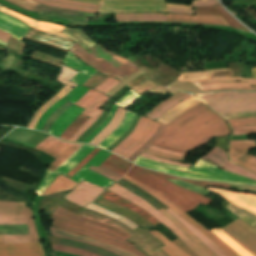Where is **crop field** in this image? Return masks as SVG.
<instances>
[{
	"mask_svg": "<svg viewBox=\"0 0 256 256\" xmlns=\"http://www.w3.org/2000/svg\"><path fill=\"white\" fill-rule=\"evenodd\" d=\"M226 134H229L226 122L201 103L165 126L153 145L186 153L206 143L212 136Z\"/></svg>",
	"mask_w": 256,
	"mask_h": 256,
	"instance_id": "8a807250",
	"label": "crop field"
},
{
	"mask_svg": "<svg viewBox=\"0 0 256 256\" xmlns=\"http://www.w3.org/2000/svg\"><path fill=\"white\" fill-rule=\"evenodd\" d=\"M126 176L152 188L157 193H159L160 195H162L163 197L171 201L173 204L178 206L183 211L192 210L199 203L208 205L211 200V199L208 200L197 193H194L184 188H181L179 186H176L166 180V178H174V179H181V178H175L168 175L152 172L136 166H133L129 170ZM189 182L197 184L202 187L204 186L222 187V188L229 187V185H225V184L204 183V182H194V181H189Z\"/></svg>",
	"mask_w": 256,
	"mask_h": 256,
	"instance_id": "ac0d7876",
	"label": "crop field"
},
{
	"mask_svg": "<svg viewBox=\"0 0 256 256\" xmlns=\"http://www.w3.org/2000/svg\"><path fill=\"white\" fill-rule=\"evenodd\" d=\"M76 44L70 51L103 74L113 76L122 81L124 78L139 70L129 61L108 52L97 44L88 52Z\"/></svg>",
	"mask_w": 256,
	"mask_h": 256,
	"instance_id": "34b2d1b8",
	"label": "crop field"
},
{
	"mask_svg": "<svg viewBox=\"0 0 256 256\" xmlns=\"http://www.w3.org/2000/svg\"><path fill=\"white\" fill-rule=\"evenodd\" d=\"M27 223L28 235H4L3 243L40 242L32 218L31 208H24V203L0 201V224Z\"/></svg>",
	"mask_w": 256,
	"mask_h": 256,
	"instance_id": "412701ff",
	"label": "crop field"
},
{
	"mask_svg": "<svg viewBox=\"0 0 256 256\" xmlns=\"http://www.w3.org/2000/svg\"><path fill=\"white\" fill-rule=\"evenodd\" d=\"M208 106L223 115L236 112L256 111V92H223L203 97Z\"/></svg>",
	"mask_w": 256,
	"mask_h": 256,
	"instance_id": "f4fd0767",
	"label": "crop field"
},
{
	"mask_svg": "<svg viewBox=\"0 0 256 256\" xmlns=\"http://www.w3.org/2000/svg\"><path fill=\"white\" fill-rule=\"evenodd\" d=\"M65 65L74 68L80 73L75 76L71 81L77 83L78 85L67 95H65L62 99L57 101L54 105H52L39 119L35 129L41 130L43 127L46 119L61 105L66 103L67 101L74 104L77 100H79L89 89L84 88L80 86L82 83H84L88 78H90L95 71L90 66L82 62L80 59L75 57L70 51L67 53V55L64 57L62 61Z\"/></svg>",
	"mask_w": 256,
	"mask_h": 256,
	"instance_id": "dd49c442",
	"label": "crop field"
},
{
	"mask_svg": "<svg viewBox=\"0 0 256 256\" xmlns=\"http://www.w3.org/2000/svg\"><path fill=\"white\" fill-rule=\"evenodd\" d=\"M118 83L119 81L108 78L93 90H90L89 92L87 91L88 93L86 92L87 94L75 103V105L86 109L82 114L91 118L80 127L70 140L75 141L102 114V111L97 108L104 104L108 97L96 92L95 90L106 94Z\"/></svg>",
	"mask_w": 256,
	"mask_h": 256,
	"instance_id": "e52e79f7",
	"label": "crop field"
},
{
	"mask_svg": "<svg viewBox=\"0 0 256 256\" xmlns=\"http://www.w3.org/2000/svg\"><path fill=\"white\" fill-rule=\"evenodd\" d=\"M51 220H54L56 222H60V223H63V224L71 225V226H74V227H78V228L88 230V231H91V232H94V233H98V234H101V235H104V236H108V237H111V238H115V239H118V240H120V241H122L126 244H129L125 240H123L121 237H119L115 234H112V233H110L106 230L96 228V227H93V226H90V225H87V224H84V223H81V222H78V221H75V220H71V219L62 217L60 215L54 214V213L51 217ZM54 221L52 222V225H54V226L61 227V228H64V229H67V230H70V231H73V232H76V233H79V234H82V235L93 237V238L98 239L102 242L127 249V250H129V251H131V252H133V253H135L139 256H146V255L140 253L137 249H135L133 247H130L128 245H125L123 243H120L118 241H115L111 238L100 236V235L93 234V233H89V232H86V231L78 229V228H74V227H71V226L56 223ZM129 245H131V244H129ZM131 246H133V245H131Z\"/></svg>",
	"mask_w": 256,
	"mask_h": 256,
	"instance_id": "d8731c3e",
	"label": "crop field"
},
{
	"mask_svg": "<svg viewBox=\"0 0 256 256\" xmlns=\"http://www.w3.org/2000/svg\"><path fill=\"white\" fill-rule=\"evenodd\" d=\"M108 190L118 194L119 196L131 201L132 203L142 207L159 221H161L166 227H168L174 234H176L180 239H182L192 250H194L200 256H209L205 253L200 247H198L180 228L166 219L163 215H161L155 208H153L150 204H148L143 199L135 196L131 192H129L124 187L114 184Z\"/></svg>",
	"mask_w": 256,
	"mask_h": 256,
	"instance_id": "5a996713",
	"label": "crop field"
},
{
	"mask_svg": "<svg viewBox=\"0 0 256 256\" xmlns=\"http://www.w3.org/2000/svg\"><path fill=\"white\" fill-rule=\"evenodd\" d=\"M82 145L60 141L49 136L35 148L44 151L56 160L51 163L48 169L54 171L63 161H65L76 149Z\"/></svg>",
	"mask_w": 256,
	"mask_h": 256,
	"instance_id": "3316defc",
	"label": "crop field"
},
{
	"mask_svg": "<svg viewBox=\"0 0 256 256\" xmlns=\"http://www.w3.org/2000/svg\"><path fill=\"white\" fill-rule=\"evenodd\" d=\"M221 229L256 256V227L253 228L238 219Z\"/></svg>",
	"mask_w": 256,
	"mask_h": 256,
	"instance_id": "28ad6ade",
	"label": "crop field"
},
{
	"mask_svg": "<svg viewBox=\"0 0 256 256\" xmlns=\"http://www.w3.org/2000/svg\"><path fill=\"white\" fill-rule=\"evenodd\" d=\"M94 147L83 145L73 155H71L64 163H62L54 172L47 169L46 175L36 190L39 196L48 188L56 176L60 173L66 174L73 167H75Z\"/></svg>",
	"mask_w": 256,
	"mask_h": 256,
	"instance_id": "d1516ede",
	"label": "crop field"
},
{
	"mask_svg": "<svg viewBox=\"0 0 256 256\" xmlns=\"http://www.w3.org/2000/svg\"><path fill=\"white\" fill-rule=\"evenodd\" d=\"M127 180H129L131 183L136 185L137 187L141 188L142 190L146 191L147 193L154 196L156 199H158L160 202L168 206L173 211L177 212L180 216H182L186 221L191 223L193 226H195L198 230H200L203 234H205L209 239H211L216 245H218L222 250H224L226 253H228L230 256H239L236 254L233 250H231L227 245H225L222 241H220L217 237H215L213 234H211L208 230H206L204 227H202L200 224H198L195 220H193L191 217H189L187 214H185L182 210H180L178 207L173 205L171 202L157 194L155 191L143 186L142 184L128 178L124 177Z\"/></svg>",
	"mask_w": 256,
	"mask_h": 256,
	"instance_id": "22f410ed",
	"label": "crop field"
},
{
	"mask_svg": "<svg viewBox=\"0 0 256 256\" xmlns=\"http://www.w3.org/2000/svg\"><path fill=\"white\" fill-rule=\"evenodd\" d=\"M256 148L254 140L230 141L229 159L256 173V157L246 153L248 149Z\"/></svg>",
	"mask_w": 256,
	"mask_h": 256,
	"instance_id": "cbeb9de0",
	"label": "crop field"
},
{
	"mask_svg": "<svg viewBox=\"0 0 256 256\" xmlns=\"http://www.w3.org/2000/svg\"><path fill=\"white\" fill-rule=\"evenodd\" d=\"M110 153L101 150L88 164H86L81 170H79L76 174H74L70 179L80 182L82 179L89 181L91 183L97 184L104 188H107L113 182L91 172L88 168L93 165L97 167L100 163L104 162Z\"/></svg>",
	"mask_w": 256,
	"mask_h": 256,
	"instance_id": "5142ce71",
	"label": "crop field"
},
{
	"mask_svg": "<svg viewBox=\"0 0 256 256\" xmlns=\"http://www.w3.org/2000/svg\"><path fill=\"white\" fill-rule=\"evenodd\" d=\"M186 172H190L198 175L222 178V179H227V180L236 181V182L256 184V181H253L251 179H248L239 175L225 172L219 169L218 167L210 163H207L201 159L198 160L195 166L186 170Z\"/></svg>",
	"mask_w": 256,
	"mask_h": 256,
	"instance_id": "d9b57169",
	"label": "crop field"
},
{
	"mask_svg": "<svg viewBox=\"0 0 256 256\" xmlns=\"http://www.w3.org/2000/svg\"><path fill=\"white\" fill-rule=\"evenodd\" d=\"M103 188L83 181L71 193L63 198L83 207L92 202Z\"/></svg>",
	"mask_w": 256,
	"mask_h": 256,
	"instance_id": "733c2abd",
	"label": "crop field"
},
{
	"mask_svg": "<svg viewBox=\"0 0 256 256\" xmlns=\"http://www.w3.org/2000/svg\"><path fill=\"white\" fill-rule=\"evenodd\" d=\"M202 159L222 168L225 171L233 172V173L251 178L253 180H256L255 174L231 164L226 157V152L216 147L213 148L209 154L203 156Z\"/></svg>",
	"mask_w": 256,
	"mask_h": 256,
	"instance_id": "4a817a6b",
	"label": "crop field"
},
{
	"mask_svg": "<svg viewBox=\"0 0 256 256\" xmlns=\"http://www.w3.org/2000/svg\"><path fill=\"white\" fill-rule=\"evenodd\" d=\"M134 163H136L140 166L146 167V168L153 169V170H157V171H161V172H165V173H169V174H173V175H178V176L189 177V178H193V179L217 180V181H224V182L235 183V184H242V183H236V182L226 181V180H222V179L203 177V176L186 174V173H181V172L169 170V169H166V167L181 170V171L186 170V168H182V167H179V166L168 165V164H165V163H162V162L145 159V158H142L140 156H138V158L134 161Z\"/></svg>",
	"mask_w": 256,
	"mask_h": 256,
	"instance_id": "bc2a9ffb",
	"label": "crop field"
},
{
	"mask_svg": "<svg viewBox=\"0 0 256 256\" xmlns=\"http://www.w3.org/2000/svg\"><path fill=\"white\" fill-rule=\"evenodd\" d=\"M0 256H45L41 243L0 244Z\"/></svg>",
	"mask_w": 256,
	"mask_h": 256,
	"instance_id": "214f88e0",
	"label": "crop field"
},
{
	"mask_svg": "<svg viewBox=\"0 0 256 256\" xmlns=\"http://www.w3.org/2000/svg\"><path fill=\"white\" fill-rule=\"evenodd\" d=\"M50 230L52 232L53 235L64 238V239H68V240H74V241H80V242H85V243H89L92 245H95L97 247L103 248L105 250H108L110 252H113L115 254H118L120 256H136L126 250L120 249V248H116L113 246H110L108 244L87 238V237H83L77 234H74L72 232L66 231V230H62V229H58V228H54V227H50Z\"/></svg>",
	"mask_w": 256,
	"mask_h": 256,
	"instance_id": "92a150f3",
	"label": "crop field"
},
{
	"mask_svg": "<svg viewBox=\"0 0 256 256\" xmlns=\"http://www.w3.org/2000/svg\"><path fill=\"white\" fill-rule=\"evenodd\" d=\"M166 22L172 23H196L205 25H230L221 16H191V15H178L167 14Z\"/></svg>",
	"mask_w": 256,
	"mask_h": 256,
	"instance_id": "dafd665d",
	"label": "crop field"
},
{
	"mask_svg": "<svg viewBox=\"0 0 256 256\" xmlns=\"http://www.w3.org/2000/svg\"><path fill=\"white\" fill-rule=\"evenodd\" d=\"M222 197L226 198L232 204L239 206L253 214L256 215V196L253 194H245V193H231L227 191H222L218 189H209Z\"/></svg>",
	"mask_w": 256,
	"mask_h": 256,
	"instance_id": "00972430",
	"label": "crop field"
},
{
	"mask_svg": "<svg viewBox=\"0 0 256 256\" xmlns=\"http://www.w3.org/2000/svg\"><path fill=\"white\" fill-rule=\"evenodd\" d=\"M0 11H3L9 15H12V16L24 21L25 23H27L29 26H31L33 28H36V29H39L42 31H46V32H49V33H52V34H55V35H58V36L68 39L67 37H65L64 35L59 33L62 29L65 28L64 26H59V25H55V24H51V23H47V22L30 19L28 17L17 14L1 5H0Z\"/></svg>",
	"mask_w": 256,
	"mask_h": 256,
	"instance_id": "a9b5d70f",
	"label": "crop field"
},
{
	"mask_svg": "<svg viewBox=\"0 0 256 256\" xmlns=\"http://www.w3.org/2000/svg\"><path fill=\"white\" fill-rule=\"evenodd\" d=\"M82 111H84V109L72 105L69 109H67L63 114L58 117L57 121L49 129L48 133L59 137L68 127V125L73 122Z\"/></svg>",
	"mask_w": 256,
	"mask_h": 256,
	"instance_id": "4177f3b9",
	"label": "crop field"
},
{
	"mask_svg": "<svg viewBox=\"0 0 256 256\" xmlns=\"http://www.w3.org/2000/svg\"><path fill=\"white\" fill-rule=\"evenodd\" d=\"M100 198L137 212L139 215H141L144 219H146L148 222H150L154 226L161 223L158 220H156L154 217H152L150 214H148L146 211H144L142 208L126 201L125 199L107 190L100 196Z\"/></svg>",
	"mask_w": 256,
	"mask_h": 256,
	"instance_id": "730fd06b",
	"label": "crop field"
},
{
	"mask_svg": "<svg viewBox=\"0 0 256 256\" xmlns=\"http://www.w3.org/2000/svg\"><path fill=\"white\" fill-rule=\"evenodd\" d=\"M38 3H42L48 6L57 7V8H65L72 9L84 12H92L96 13L98 5L95 4H87L70 0H33Z\"/></svg>",
	"mask_w": 256,
	"mask_h": 256,
	"instance_id": "eef30255",
	"label": "crop field"
},
{
	"mask_svg": "<svg viewBox=\"0 0 256 256\" xmlns=\"http://www.w3.org/2000/svg\"><path fill=\"white\" fill-rule=\"evenodd\" d=\"M189 97L191 96L180 91L179 93L172 95L171 97L166 99L164 102H162L161 104L153 108L151 111L145 114L144 117L155 121L158 117H160L163 113H165L171 107H173L174 105L182 102L183 100Z\"/></svg>",
	"mask_w": 256,
	"mask_h": 256,
	"instance_id": "ae1a2a85",
	"label": "crop field"
},
{
	"mask_svg": "<svg viewBox=\"0 0 256 256\" xmlns=\"http://www.w3.org/2000/svg\"><path fill=\"white\" fill-rule=\"evenodd\" d=\"M201 103L197 99L191 97L182 103L174 106L172 109H170L168 112H166L164 115H162L156 122L162 123V124H169L171 121H173L176 117H178L181 113L188 110L189 108Z\"/></svg>",
	"mask_w": 256,
	"mask_h": 256,
	"instance_id": "d3111659",
	"label": "crop field"
},
{
	"mask_svg": "<svg viewBox=\"0 0 256 256\" xmlns=\"http://www.w3.org/2000/svg\"><path fill=\"white\" fill-rule=\"evenodd\" d=\"M198 87L202 92L227 89L256 90V87H250L247 81L207 83L198 85Z\"/></svg>",
	"mask_w": 256,
	"mask_h": 256,
	"instance_id": "750c4746",
	"label": "crop field"
},
{
	"mask_svg": "<svg viewBox=\"0 0 256 256\" xmlns=\"http://www.w3.org/2000/svg\"><path fill=\"white\" fill-rule=\"evenodd\" d=\"M194 14L222 15L233 28L248 31L240 25L230 14H228L221 6L212 7H193Z\"/></svg>",
	"mask_w": 256,
	"mask_h": 256,
	"instance_id": "bd1437ed",
	"label": "crop field"
},
{
	"mask_svg": "<svg viewBox=\"0 0 256 256\" xmlns=\"http://www.w3.org/2000/svg\"><path fill=\"white\" fill-rule=\"evenodd\" d=\"M134 117L135 114L127 111L121 125L115 131H113L102 143H100L98 147L106 149L117 139H119L124 134V132L129 128Z\"/></svg>",
	"mask_w": 256,
	"mask_h": 256,
	"instance_id": "1d83c4d3",
	"label": "crop field"
},
{
	"mask_svg": "<svg viewBox=\"0 0 256 256\" xmlns=\"http://www.w3.org/2000/svg\"><path fill=\"white\" fill-rule=\"evenodd\" d=\"M169 214L175 217L179 222H181L187 229H189L197 238H199L207 247H209L213 252H215L219 256H229L224 251H222L219 247H217L214 243H212L208 238H206L202 233H200L196 228H194L191 224L177 216L172 210L166 208Z\"/></svg>",
	"mask_w": 256,
	"mask_h": 256,
	"instance_id": "120bbe31",
	"label": "crop field"
},
{
	"mask_svg": "<svg viewBox=\"0 0 256 256\" xmlns=\"http://www.w3.org/2000/svg\"><path fill=\"white\" fill-rule=\"evenodd\" d=\"M222 76H233V75L230 69H220V70H210L207 72H200V73L181 74L178 80L183 82H191L196 80H202V79L213 78V77H222Z\"/></svg>",
	"mask_w": 256,
	"mask_h": 256,
	"instance_id": "d32e631a",
	"label": "crop field"
},
{
	"mask_svg": "<svg viewBox=\"0 0 256 256\" xmlns=\"http://www.w3.org/2000/svg\"><path fill=\"white\" fill-rule=\"evenodd\" d=\"M116 22L126 21H165V14L144 13V14H115Z\"/></svg>",
	"mask_w": 256,
	"mask_h": 256,
	"instance_id": "5866460e",
	"label": "crop field"
},
{
	"mask_svg": "<svg viewBox=\"0 0 256 256\" xmlns=\"http://www.w3.org/2000/svg\"><path fill=\"white\" fill-rule=\"evenodd\" d=\"M125 110L121 109L118 107L113 119L111 120V122L108 124V126L102 130L94 139H92L89 143L90 144H94V145H98L103 139H105L114 129H116L118 127V125L120 124L124 114H125Z\"/></svg>",
	"mask_w": 256,
	"mask_h": 256,
	"instance_id": "028f5c9d",
	"label": "crop field"
},
{
	"mask_svg": "<svg viewBox=\"0 0 256 256\" xmlns=\"http://www.w3.org/2000/svg\"><path fill=\"white\" fill-rule=\"evenodd\" d=\"M56 213H59L61 215H64L68 218H71V219H75V220H78V221H81V222H84V223H87V224H90V225H93V226H96V227H100V228H103V229H106V230H109V231H112L114 233H117L119 234L121 237H123L124 239L127 238L128 234H126L125 232H123L122 230L116 228V227H113V226H110V225H106V224H102V223H98V222H95V221H91V220H88V219H84V218H81V217H78L72 213H69L67 211H65L64 209L58 207L55 211Z\"/></svg>",
	"mask_w": 256,
	"mask_h": 256,
	"instance_id": "e1f06a70",
	"label": "crop field"
},
{
	"mask_svg": "<svg viewBox=\"0 0 256 256\" xmlns=\"http://www.w3.org/2000/svg\"><path fill=\"white\" fill-rule=\"evenodd\" d=\"M151 124L152 121L144 119L138 133L130 141H128L119 151H117L116 154L123 157L126 153H128L138 142H140L144 138Z\"/></svg>",
	"mask_w": 256,
	"mask_h": 256,
	"instance_id": "0bd39190",
	"label": "crop field"
},
{
	"mask_svg": "<svg viewBox=\"0 0 256 256\" xmlns=\"http://www.w3.org/2000/svg\"><path fill=\"white\" fill-rule=\"evenodd\" d=\"M219 4L218 0H193L191 6L167 4L169 11L173 13L193 14L192 6H210Z\"/></svg>",
	"mask_w": 256,
	"mask_h": 256,
	"instance_id": "b80d0937",
	"label": "crop field"
},
{
	"mask_svg": "<svg viewBox=\"0 0 256 256\" xmlns=\"http://www.w3.org/2000/svg\"><path fill=\"white\" fill-rule=\"evenodd\" d=\"M77 184L78 183L59 175L55 182L48 188V190L43 195H49L59 191L70 190L73 189Z\"/></svg>",
	"mask_w": 256,
	"mask_h": 256,
	"instance_id": "c035e120",
	"label": "crop field"
},
{
	"mask_svg": "<svg viewBox=\"0 0 256 256\" xmlns=\"http://www.w3.org/2000/svg\"><path fill=\"white\" fill-rule=\"evenodd\" d=\"M126 86L142 95L153 89L157 85L153 84L150 80H148L143 73Z\"/></svg>",
	"mask_w": 256,
	"mask_h": 256,
	"instance_id": "c21b1889",
	"label": "crop field"
},
{
	"mask_svg": "<svg viewBox=\"0 0 256 256\" xmlns=\"http://www.w3.org/2000/svg\"><path fill=\"white\" fill-rule=\"evenodd\" d=\"M102 165L124 175L133 164L111 154Z\"/></svg>",
	"mask_w": 256,
	"mask_h": 256,
	"instance_id": "03da06ac",
	"label": "crop field"
},
{
	"mask_svg": "<svg viewBox=\"0 0 256 256\" xmlns=\"http://www.w3.org/2000/svg\"><path fill=\"white\" fill-rule=\"evenodd\" d=\"M109 210V209H108ZM111 211V210H110ZM113 212V211H112ZM146 230V229H145ZM149 232V231H148ZM156 238H158L161 243L164 244L165 246L161 247L164 252H166L170 256H188L184 252H182L179 248H177L174 244H172L169 240H167L165 237H163L160 233L157 231H151L149 232Z\"/></svg>",
	"mask_w": 256,
	"mask_h": 256,
	"instance_id": "b54c1fbb",
	"label": "crop field"
},
{
	"mask_svg": "<svg viewBox=\"0 0 256 256\" xmlns=\"http://www.w3.org/2000/svg\"><path fill=\"white\" fill-rule=\"evenodd\" d=\"M210 232L214 233L219 237L224 243H226L230 248L236 251L241 256H252L249 252L243 249L239 244H237L233 239H231L227 234H225L220 229H213Z\"/></svg>",
	"mask_w": 256,
	"mask_h": 256,
	"instance_id": "5d738f31",
	"label": "crop field"
},
{
	"mask_svg": "<svg viewBox=\"0 0 256 256\" xmlns=\"http://www.w3.org/2000/svg\"><path fill=\"white\" fill-rule=\"evenodd\" d=\"M72 88L66 86L64 89H62L55 97H53L51 100L45 103V105L39 109L36 114L34 115L31 123L28 125V128H34L36 122L40 118V116L57 100H59L61 97H63L65 94H67Z\"/></svg>",
	"mask_w": 256,
	"mask_h": 256,
	"instance_id": "d23c7cc5",
	"label": "crop field"
},
{
	"mask_svg": "<svg viewBox=\"0 0 256 256\" xmlns=\"http://www.w3.org/2000/svg\"><path fill=\"white\" fill-rule=\"evenodd\" d=\"M166 218L180 227L197 245H199L203 250H205L211 256H217L210 249H208L202 242H200L195 236H193L182 224H180L175 218L165 212L163 209L159 210Z\"/></svg>",
	"mask_w": 256,
	"mask_h": 256,
	"instance_id": "425ffa30",
	"label": "crop field"
},
{
	"mask_svg": "<svg viewBox=\"0 0 256 256\" xmlns=\"http://www.w3.org/2000/svg\"><path fill=\"white\" fill-rule=\"evenodd\" d=\"M0 30L5 31L9 34H11V36L17 38V39H21L24 34L27 32V30L20 28L18 26H15L11 23H8L4 20L0 19Z\"/></svg>",
	"mask_w": 256,
	"mask_h": 256,
	"instance_id": "25e5ab78",
	"label": "crop field"
},
{
	"mask_svg": "<svg viewBox=\"0 0 256 256\" xmlns=\"http://www.w3.org/2000/svg\"><path fill=\"white\" fill-rule=\"evenodd\" d=\"M87 120V118L83 115H79L78 119H76L60 136L62 139L69 140L70 137L75 133V131Z\"/></svg>",
	"mask_w": 256,
	"mask_h": 256,
	"instance_id": "73cf0c24",
	"label": "crop field"
},
{
	"mask_svg": "<svg viewBox=\"0 0 256 256\" xmlns=\"http://www.w3.org/2000/svg\"><path fill=\"white\" fill-rule=\"evenodd\" d=\"M51 245H52L53 249L57 250V251L68 252V253H72V254H76V255H80V256H99L97 254L91 253L86 250L75 249V248H71V247H67V246H63V245H55V244H51Z\"/></svg>",
	"mask_w": 256,
	"mask_h": 256,
	"instance_id": "89e229c0",
	"label": "crop field"
},
{
	"mask_svg": "<svg viewBox=\"0 0 256 256\" xmlns=\"http://www.w3.org/2000/svg\"><path fill=\"white\" fill-rule=\"evenodd\" d=\"M251 71H252L253 79H248V81H249L250 85H256V67L252 68ZM234 80H246V79H243V78H214V79H207V80L192 82V84L198 85V84L207 83V82L234 81Z\"/></svg>",
	"mask_w": 256,
	"mask_h": 256,
	"instance_id": "1f2cbd36",
	"label": "crop field"
},
{
	"mask_svg": "<svg viewBox=\"0 0 256 256\" xmlns=\"http://www.w3.org/2000/svg\"><path fill=\"white\" fill-rule=\"evenodd\" d=\"M139 97V95L130 90L117 101L116 105L126 108Z\"/></svg>",
	"mask_w": 256,
	"mask_h": 256,
	"instance_id": "dbb93151",
	"label": "crop field"
},
{
	"mask_svg": "<svg viewBox=\"0 0 256 256\" xmlns=\"http://www.w3.org/2000/svg\"><path fill=\"white\" fill-rule=\"evenodd\" d=\"M90 169H92V170H94V171H96V172H98V173H100V174H102V175H104V176L114 180V181H117L120 178H122L121 175H119V174L109 170L108 168H106V167H104L102 165L98 166L97 168L91 166Z\"/></svg>",
	"mask_w": 256,
	"mask_h": 256,
	"instance_id": "0fb4a251",
	"label": "crop field"
},
{
	"mask_svg": "<svg viewBox=\"0 0 256 256\" xmlns=\"http://www.w3.org/2000/svg\"><path fill=\"white\" fill-rule=\"evenodd\" d=\"M164 125L159 124L158 130L153 134V136L139 149L137 150L131 157L128 158V160L133 161V159L140 154L142 151H144L154 140L155 138L160 135V133L163 131Z\"/></svg>",
	"mask_w": 256,
	"mask_h": 256,
	"instance_id": "1d79db26",
	"label": "crop field"
},
{
	"mask_svg": "<svg viewBox=\"0 0 256 256\" xmlns=\"http://www.w3.org/2000/svg\"><path fill=\"white\" fill-rule=\"evenodd\" d=\"M117 106H112L106 120L93 132L91 133L83 142L88 143L101 129H103L111 120Z\"/></svg>",
	"mask_w": 256,
	"mask_h": 256,
	"instance_id": "9d1cf04e",
	"label": "crop field"
},
{
	"mask_svg": "<svg viewBox=\"0 0 256 256\" xmlns=\"http://www.w3.org/2000/svg\"><path fill=\"white\" fill-rule=\"evenodd\" d=\"M100 149L95 148L84 160H82L75 168L66 174V176H72L76 171L82 168L95 154H97Z\"/></svg>",
	"mask_w": 256,
	"mask_h": 256,
	"instance_id": "447ae74e",
	"label": "crop field"
},
{
	"mask_svg": "<svg viewBox=\"0 0 256 256\" xmlns=\"http://www.w3.org/2000/svg\"><path fill=\"white\" fill-rule=\"evenodd\" d=\"M18 7H21V8H24V9H27L29 11L32 10V8L37 5V3L35 2H32L30 0H6Z\"/></svg>",
	"mask_w": 256,
	"mask_h": 256,
	"instance_id": "0765c3eb",
	"label": "crop field"
},
{
	"mask_svg": "<svg viewBox=\"0 0 256 256\" xmlns=\"http://www.w3.org/2000/svg\"><path fill=\"white\" fill-rule=\"evenodd\" d=\"M232 129H233V135L256 133V126H242V127H235Z\"/></svg>",
	"mask_w": 256,
	"mask_h": 256,
	"instance_id": "db79e9e6",
	"label": "crop field"
},
{
	"mask_svg": "<svg viewBox=\"0 0 256 256\" xmlns=\"http://www.w3.org/2000/svg\"><path fill=\"white\" fill-rule=\"evenodd\" d=\"M157 126H158V124L154 122L152 127L150 128L148 134L146 135V137L132 151H130L124 158L127 159L134 151H136L141 145H143L152 136V134L156 131Z\"/></svg>",
	"mask_w": 256,
	"mask_h": 256,
	"instance_id": "7b73153f",
	"label": "crop field"
},
{
	"mask_svg": "<svg viewBox=\"0 0 256 256\" xmlns=\"http://www.w3.org/2000/svg\"><path fill=\"white\" fill-rule=\"evenodd\" d=\"M176 246H178L181 250L186 252L190 256H198L194 251H192L186 244H184L179 238L171 241Z\"/></svg>",
	"mask_w": 256,
	"mask_h": 256,
	"instance_id": "78b8030e",
	"label": "crop field"
},
{
	"mask_svg": "<svg viewBox=\"0 0 256 256\" xmlns=\"http://www.w3.org/2000/svg\"><path fill=\"white\" fill-rule=\"evenodd\" d=\"M228 123L231 125V127L244 125V124H256V118L229 120Z\"/></svg>",
	"mask_w": 256,
	"mask_h": 256,
	"instance_id": "0f1d7ab4",
	"label": "crop field"
},
{
	"mask_svg": "<svg viewBox=\"0 0 256 256\" xmlns=\"http://www.w3.org/2000/svg\"><path fill=\"white\" fill-rule=\"evenodd\" d=\"M0 18L6 20V21H8V22H11V23H13V24H16V25H18V26H20V27H23V28H25V29H27V30H29V28H30V27H28L27 25H25L24 23H22V22H20V21H18V20H16V19H14V18H12V17H10V16H7V15H5V14L0 13Z\"/></svg>",
	"mask_w": 256,
	"mask_h": 256,
	"instance_id": "e1d0b9f6",
	"label": "crop field"
},
{
	"mask_svg": "<svg viewBox=\"0 0 256 256\" xmlns=\"http://www.w3.org/2000/svg\"><path fill=\"white\" fill-rule=\"evenodd\" d=\"M140 156H144V157H147V158H150V159H154V160L166 162V163H169V164L184 166V167H187V168H188L189 166H191V165H186V164L179 163V162H175V161H170V160H166V159L157 158V157H154V156L145 154V153L141 154Z\"/></svg>",
	"mask_w": 256,
	"mask_h": 256,
	"instance_id": "ae633e8c",
	"label": "crop field"
},
{
	"mask_svg": "<svg viewBox=\"0 0 256 256\" xmlns=\"http://www.w3.org/2000/svg\"><path fill=\"white\" fill-rule=\"evenodd\" d=\"M143 119H144V118H142V117L140 118V120H139V122H138L136 128L134 129V131H133L125 140H123L117 147H115V148L112 150V152L115 153L127 140H129L133 135L136 134V132L138 131V129H139V127H140V125H141Z\"/></svg>",
	"mask_w": 256,
	"mask_h": 256,
	"instance_id": "d14b1444",
	"label": "crop field"
},
{
	"mask_svg": "<svg viewBox=\"0 0 256 256\" xmlns=\"http://www.w3.org/2000/svg\"><path fill=\"white\" fill-rule=\"evenodd\" d=\"M146 153H149V154L154 155V156L170 159V160H175V161H180V162L183 161L182 158L173 157V156H169V155H164V154H161V153L149 150V149H147Z\"/></svg>",
	"mask_w": 256,
	"mask_h": 256,
	"instance_id": "c39391a2",
	"label": "crop field"
},
{
	"mask_svg": "<svg viewBox=\"0 0 256 256\" xmlns=\"http://www.w3.org/2000/svg\"><path fill=\"white\" fill-rule=\"evenodd\" d=\"M149 149H152V150H155V151H159V152H162V153H165V154H169V155H175V156H181V157L184 156L183 153L167 151V150L161 149V148L156 147V146H153V145H151V146L149 147Z\"/></svg>",
	"mask_w": 256,
	"mask_h": 256,
	"instance_id": "ade564c9",
	"label": "crop field"
},
{
	"mask_svg": "<svg viewBox=\"0 0 256 256\" xmlns=\"http://www.w3.org/2000/svg\"><path fill=\"white\" fill-rule=\"evenodd\" d=\"M150 92L160 93V94H166V93L170 92V93L174 94L178 91H174V90H170V89H166V88L158 86V87L154 88L153 90H151Z\"/></svg>",
	"mask_w": 256,
	"mask_h": 256,
	"instance_id": "c5b07064",
	"label": "crop field"
},
{
	"mask_svg": "<svg viewBox=\"0 0 256 256\" xmlns=\"http://www.w3.org/2000/svg\"><path fill=\"white\" fill-rule=\"evenodd\" d=\"M9 36H10L9 34L0 31V40H2V41L7 43Z\"/></svg>",
	"mask_w": 256,
	"mask_h": 256,
	"instance_id": "c3a83c6f",
	"label": "crop field"
},
{
	"mask_svg": "<svg viewBox=\"0 0 256 256\" xmlns=\"http://www.w3.org/2000/svg\"><path fill=\"white\" fill-rule=\"evenodd\" d=\"M3 235H0V243H2Z\"/></svg>",
	"mask_w": 256,
	"mask_h": 256,
	"instance_id": "fb207236",
	"label": "crop field"
},
{
	"mask_svg": "<svg viewBox=\"0 0 256 256\" xmlns=\"http://www.w3.org/2000/svg\"><path fill=\"white\" fill-rule=\"evenodd\" d=\"M0 43L3 44V45H5V46L7 45L6 43H2V42H0Z\"/></svg>",
	"mask_w": 256,
	"mask_h": 256,
	"instance_id": "7312dd0a",
	"label": "crop field"
}]
</instances>
